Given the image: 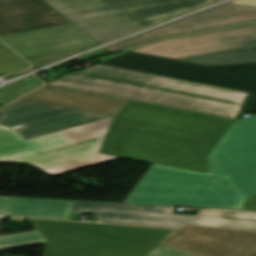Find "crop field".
Segmentation results:
<instances>
[{"label":"crop field","instance_id":"1","mask_svg":"<svg viewBox=\"0 0 256 256\" xmlns=\"http://www.w3.org/2000/svg\"><path fill=\"white\" fill-rule=\"evenodd\" d=\"M47 239L43 256H141L159 244L198 256H252L256 232L186 225L181 230L28 219Z\"/></svg>","mask_w":256,"mask_h":256},{"label":"crop field","instance_id":"2","mask_svg":"<svg viewBox=\"0 0 256 256\" xmlns=\"http://www.w3.org/2000/svg\"><path fill=\"white\" fill-rule=\"evenodd\" d=\"M231 123L128 102L100 153L207 173L206 154Z\"/></svg>","mask_w":256,"mask_h":256},{"label":"crop field","instance_id":"3","mask_svg":"<svg viewBox=\"0 0 256 256\" xmlns=\"http://www.w3.org/2000/svg\"><path fill=\"white\" fill-rule=\"evenodd\" d=\"M47 85L232 119L248 94L99 65Z\"/></svg>","mask_w":256,"mask_h":256},{"label":"crop field","instance_id":"4","mask_svg":"<svg viewBox=\"0 0 256 256\" xmlns=\"http://www.w3.org/2000/svg\"><path fill=\"white\" fill-rule=\"evenodd\" d=\"M113 118L25 141L0 126V161L29 163L54 175L116 159L99 154Z\"/></svg>","mask_w":256,"mask_h":256},{"label":"crop field","instance_id":"5","mask_svg":"<svg viewBox=\"0 0 256 256\" xmlns=\"http://www.w3.org/2000/svg\"><path fill=\"white\" fill-rule=\"evenodd\" d=\"M97 43L217 0H43Z\"/></svg>","mask_w":256,"mask_h":256},{"label":"crop field","instance_id":"6","mask_svg":"<svg viewBox=\"0 0 256 256\" xmlns=\"http://www.w3.org/2000/svg\"><path fill=\"white\" fill-rule=\"evenodd\" d=\"M228 177L152 164L124 203L240 210Z\"/></svg>","mask_w":256,"mask_h":256},{"label":"crop field","instance_id":"7","mask_svg":"<svg viewBox=\"0 0 256 256\" xmlns=\"http://www.w3.org/2000/svg\"><path fill=\"white\" fill-rule=\"evenodd\" d=\"M99 65L246 91L249 94L240 112L256 111V63L204 67L128 52Z\"/></svg>","mask_w":256,"mask_h":256},{"label":"crop field","instance_id":"8","mask_svg":"<svg viewBox=\"0 0 256 256\" xmlns=\"http://www.w3.org/2000/svg\"><path fill=\"white\" fill-rule=\"evenodd\" d=\"M208 173L228 176L242 197L256 195V116L230 125L207 154Z\"/></svg>","mask_w":256,"mask_h":256},{"label":"crop field","instance_id":"9","mask_svg":"<svg viewBox=\"0 0 256 256\" xmlns=\"http://www.w3.org/2000/svg\"><path fill=\"white\" fill-rule=\"evenodd\" d=\"M256 46V23L168 38L129 51L185 59Z\"/></svg>","mask_w":256,"mask_h":256},{"label":"crop field","instance_id":"10","mask_svg":"<svg viewBox=\"0 0 256 256\" xmlns=\"http://www.w3.org/2000/svg\"><path fill=\"white\" fill-rule=\"evenodd\" d=\"M0 125L21 124L25 139L109 117L18 100L0 110Z\"/></svg>","mask_w":256,"mask_h":256},{"label":"crop field","instance_id":"11","mask_svg":"<svg viewBox=\"0 0 256 256\" xmlns=\"http://www.w3.org/2000/svg\"><path fill=\"white\" fill-rule=\"evenodd\" d=\"M256 20V8L223 4L199 14L112 44L109 53L168 35H175Z\"/></svg>","mask_w":256,"mask_h":256},{"label":"crop field","instance_id":"12","mask_svg":"<svg viewBox=\"0 0 256 256\" xmlns=\"http://www.w3.org/2000/svg\"><path fill=\"white\" fill-rule=\"evenodd\" d=\"M175 207L74 201L71 211L98 214L97 222L178 228L193 216L172 215Z\"/></svg>","mask_w":256,"mask_h":256},{"label":"crop field","instance_id":"13","mask_svg":"<svg viewBox=\"0 0 256 256\" xmlns=\"http://www.w3.org/2000/svg\"><path fill=\"white\" fill-rule=\"evenodd\" d=\"M73 201L0 197V218L23 216L66 220ZM38 232L0 237V250L45 243Z\"/></svg>","mask_w":256,"mask_h":256},{"label":"crop field","instance_id":"14","mask_svg":"<svg viewBox=\"0 0 256 256\" xmlns=\"http://www.w3.org/2000/svg\"><path fill=\"white\" fill-rule=\"evenodd\" d=\"M0 39L24 58L85 48L97 44L73 24L1 36Z\"/></svg>","mask_w":256,"mask_h":256},{"label":"crop field","instance_id":"15","mask_svg":"<svg viewBox=\"0 0 256 256\" xmlns=\"http://www.w3.org/2000/svg\"><path fill=\"white\" fill-rule=\"evenodd\" d=\"M70 23L41 0H0V35Z\"/></svg>","mask_w":256,"mask_h":256},{"label":"crop field","instance_id":"16","mask_svg":"<svg viewBox=\"0 0 256 256\" xmlns=\"http://www.w3.org/2000/svg\"><path fill=\"white\" fill-rule=\"evenodd\" d=\"M21 100H27L109 116H115L128 102L126 100L116 98L47 86H44L34 91L33 93L21 98Z\"/></svg>","mask_w":256,"mask_h":256},{"label":"crop field","instance_id":"17","mask_svg":"<svg viewBox=\"0 0 256 256\" xmlns=\"http://www.w3.org/2000/svg\"><path fill=\"white\" fill-rule=\"evenodd\" d=\"M188 224L256 231V214L208 210L199 214Z\"/></svg>","mask_w":256,"mask_h":256},{"label":"crop field","instance_id":"18","mask_svg":"<svg viewBox=\"0 0 256 256\" xmlns=\"http://www.w3.org/2000/svg\"><path fill=\"white\" fill-rule=\"evenodd\" d=\"M204 66L256 62V47L179 60Z\"/></svg>","mask_w":256,"mask_h":256},{"label":"crop field","instance_id":"19","mask_svg":"<svg viewBox=\"0 0 256 256\" xmlns=\"http://www.w3.org/2000/svg\"><path fill=\"white\" fill-rule=\"evenodd\" d=\"M43 82L32 75L0 88V103L5 105L19 96L41 86Z\"/></svg>","mask_w":256,"mask_h":256},{"label":"crop field","instance_id":"20","mask_svg":"<svg viewBox=\"0 0 256 256\" xmlns=\"http://www.w3.org/2000/svg\"><path fill=\"white\" fill-rule=\"evenodd\" d=\"M143 256H195L182 251H178L165 246H158L151 251L147 252Z\"/></svg>","mask_w":256,"mask_h":256},{"label":"crop field","instance_id":"21","mask_svg":"<svg viewBox=\"0 0 256 256\" xmlns=\"http://www.w3.org/2000/svg\"><path fill=\"white\" fill-rule=\"evenodd\" d=\"M80 50H83V49L68 51V52H63V53H57V54H51V55H45V56H39V57H33V58H27L26 60H28L34 66L38 67L40 65L46 64L48 62H51L53 60L59 59L61 57L67 56L69 54L75 53Z\"/></svg>","mask_w":256,"mask_h":256},{"label":"crop field","instance_id":"22","mask_svg":"<svg viewBox=\"0 0 256 256\" xmlns=\"http://www.w3.org/2000/svg\"><path fill=\"white\" fill-rule=\"evenodd\" d=\"M27 67L30 66L22 59L0 62V74L20 71Z\"/></svg>","mask_w":256,"mask_h":256},{"label":"crop field","instance_id":"23","mask_svg":"<svg viewBox=\"0 0 256 256\" xmlns=\"http://www.w3.org/2000/svg\"><path fill=\"white\" fill-rule=\"evenodd\" d=\"M18 58L20 57L14 54L7 47H5L4 45H0V61L12 60V59H18Z\"/></svg>","mask_w":256,"mask_h":256},{"label":"crop field","instance_id":"24","mask_svg":"<svg viewBox=\"0 0 256 256\" xmlns=\"http://www.w3.org/2000/svg\"><path fill=\"white\" fill-rule=\"evenodd\" d=\"M241 210L256 212V196L246 198Z\"/></svg>","mask_w":256,"mask_h":256},{"label":"crop field","instance_id":"25","mask_svg":"<svg viewBox=\"0 0 256 256\" xmlns=\"http://www.w3.org/2000/svg\"><path fill=\"white\" fill-rule=\"evenodd\" d=\"M103 53H107V51H105L104 49H101V50H97L95 52L89 53L87 55L81 56L79 58L81 60H83V59H87V58H90V57H93V56H97V55H100V54H103Z\"/></svg>","mask_w":256,"mask_h":256},{"label":"crop field","instance_id":"26","mask_svg":"<svg viewBox=\"0 0 256 256\" xmlns=\"http://www.w3.org/2000/svg\"><path fill=\"white\" fill-rule=\"evenodd\" d=\"M231 3H238V4H245V5H252L256 6V0H235Z\"/></svg>","mask_w":256,"mask_h":256},{"label":"crop field","instance_id":"27","mask_svg":"<svg viewBox=\"0 0 256 256\" xmlns=\"http://www.w3.org/2000/svg\"><path fill=\"white\" fill-rule=\"evenodd\" d=\"M126 52H128V51H126ZM123 53H125V52H123ZM123 53H119V54L112 55V56H108V57L99 58L98 60H99L100 62H102V61H104V60L110 59V58H112V57H115V56L120 55V54H123Z\"/></svg>","mask_w":256,"mask_h":256}]
</instances>
